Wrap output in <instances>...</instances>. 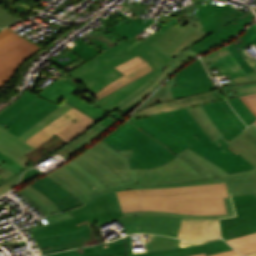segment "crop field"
Wrapping results in <instances>:
<instances>
[{"instance_id":"447ae74e","label":"crop field","mask_w":256,"mask_h":256,"mask_svg":"<svg viewBox=\"0 0 256 256\" xmlns=\"http://www.w3.org/2000/svg\"><path fill=\"white\" fill-rule=\"evenodd\" d=\"M114 256H126V254H122V255H114Z\"/></svg>"},{"instance_id":"a9b5d70f","label":"crop field","mask_w":256,"mask_h":256,"mask_svg":"<svg viewBox=\"0 0 256 256\" xmlns=\"http://www.w3.org/2000/svg\"><path fill=\"white\" fill-rule=\"evenodd\" d=\"M253 13L249 14L247 17L237 19L233 23L228 24L225 28L213 33L211 36L199 41L197 44L192 46L190 49L194 50L198 54L211 48L217 46L243 28L247 23H249L254 17ZM237 22L235 25L234 23ZM238 33V32H237ZM236 33V34H237ZM234 36V35H233ZM230 39V38H229Z\"/></svg>"},{"instance_id":"03da06ac","label":"crop field","mask_w":256,"mask_h":256,"mask_svg":"<svg viewBox=\"0 0 256 256\" xmlns=\"http://www.w3.org/2000/svg\"><path fill=\"white\" fill-rule=\"evenodd\" d=\"M18 35L12 32L11 30L5 28L0 32V47L7 44L14 38H16Z\"/></svg>"},{"instance_id":"ae1a2a85","label":"crop field","mask_w":256,"mask_h":256,"mask_svg":"<svg viewBox=\"0 0 256 256\" xmlns=\"http://www.w3.org/2000/svg\"><path fill=\"white\" fill-rule=\"evenodd\" d=\"M144 237H145L146 252L171 249V248H179V247L197 245V244H201V243L220 240V239H212V240L200 241V242H196V243H187L185 241H181L176 238L163 237V236H153V235L144 234Z\"/></svg>"},{"instance_id":"4a817a6b","label":"crop field","mask_w":256,"mask_h":256,"mask_svg":"<svg viewBox=\"0 0 256 256\" xmlns=\"http://www.w3.org/2000/svg\"><path fill=\"white\" fill-rule=\"evenodd\" d=\"M131 122L163 142L176 154L190 146V144H188L189 142L187 143L185 140L179 137L180 135L178 136L176 133H174L155 116L133 120Z\"/></svg>"},{"instance_id":"c21b1889","label":"crop field","mask_w":256,"mask_h":256,"mask_svg":"<svg viewBox=\"0 0 256 256\" xmlns=\"http://www.w3.org/2000/svg\"><path fill=\"white\" fill-rule=\"evenodd\" d=\"M221 105L224 107V109L227 111V113L230 115V117L234 120V122L243 130L246 128L245 124L240 120V118L236 115V113L231 109V107L228 105L226 100L220 101Z\"/></svg>"},{"instance_id":"4177f3b9","label":"crop field","mask_w":256,"mask_h":256,"mask_svg":"<svg viewBox=\"0 0 256 256\" xmlns=\"http://www.w3.org/2000/svg\"><path fill=\"white\" fill-rule=\"evenodd\" d=\"M35 148L0 129V152L9 156L26 170L28 161L23 155Z\"/></svg>"},{"instance_id":"5a996713","label":"crop field","mask_w":256,"mask_h":256,"mask_svg":"<svg viewBox=\"0 0 256 256\" xmlns=\"http://www.w3.org/2000/svg\"><path fill=\"white\" fill-rule=\"evenodd\" d=\"M207 70L217 66L222 75H229L240 96L256 93V72L245 74L225 46L201 57ZM256 71V60L245 58Z\"/></svg>"},{"instance_id":"bd1437ed","label":"crop field","mask_w":256,"mask_h":256,"mask_svg":"<svg viewBox=\"0 0 256 256\" xmlns=\"http://www.w3.org/2000/svg\"><path fill=\"white\" fill-rule=\"evenodd\" d=\"M234 249L245 254L256 251V233L227 241Z\"/></svg>"},{"instance_id":"0bd39190","label":"crop field","mask_w":256,"mask_h":256,"mask_svg":"<svg viewBox=\"0 0 256 256\" xmlns=\"http://www.w3.org/2000/svg\"><path fill=\"white\" fill-rule=\"evenodd\" d=\"M227 49L230 51L232 56L235 58V60L238 62L241 68L245 71V73L254 71L251 68V66L244 60V58L239 54V52L233 47L231 43H230V46H227Z\"/></svg>"},{"instance_id":"d9b57169","label":"crop field","mask_w":256,"mask_h":256,"mask_svg":"<svg viewBox=\"0 0 256 256\" xmlns=\"http://www.w3.org/2000/svg\"><path fill=\"white\" fill-rule=\"evenodd\" d=\"M117 70H119L124 75L115 80L114 82L110 83L106 87H104L101 91L98 93H93L91 90H89L87 87H82L87 92H89L91 95L95 96L98 99L114 92L115 90L123 87L124 85L134 81L135 79L143 76L144 74L152 71V68L148 64L147 61L142 59L141 57L137 56L117 67H115ZM94 97V98H95Z\"/></svg>"},{"instance_id":"730fd06b","label":"crop field","mask_w":256,"mask_h":256,"mask_svg":"<svg viewBox=\"0 0 256 256\" xmlns=\"http://www.w3.org/2000/svg\"><path fill=\"white\" fill-rule=\"evenodd\" d=\"M203 107L216 127L226 137L227 140H230L241 132L239 127L233 122L226 111L222 108L219 101L212 102L210 104H204Z\"/></svg>"},{"instance_id":"120bbe31","label":"crop field","mask_w":256,"mask_h":256,"mask_svg":"<svg viewBox=\"0 0 256 256\" xmlns=\"http://www.w3.org/2000/svg\"><path fill=\"white\" fill-rule=\"evenodd\" d=\"M231 107L235 110L238 116L245 122L247 125L253 123L256 120V116L249 110V108L242 102L239 97L227 99Z\"/></svg>"},{"instance_id":"1d79db26","label":"crop field","mask_w":256,"mask_h":256,"mask_svg":"<svg viewBox=\"0 0 256 256\" xmlns=\"http://www.w3.org/2000/svg\"><path fill=\"white\" fill-rule=\"evenodd\" d=\"M141 101H142V100H141ZM141 101H139V102L133 104L132 106H130V107H128V108H126V109H124V110H122V111H123L125 114L128 113V112L131 111L136 105H138Z\"/></svg>"},{"instance_id":"28ad6ade","label":"crop field","mask_w":256,"mask_h":256,"mask_svg":"<svg viewBox=\"0 0 256 256\" xmlns=\"http://www.w3.org/2000/svg\"><path fill=\"white\" fill-rule=\"evenodd\" d=\"M79 230L96 223L124 217L116 193L90 200L83 207L70 210Z\"/></svg>"},{"instance_id":"dafd665d","label":"crop field","mask_w":256,"mask_h":256,"mask_svg":"<svg viewBox=\"0 0 256 256\" xmlns=\"http://www.w3.org/2000/svg\"><path fill=\"white\" fill-rule=\"evenodd\" d=\"M219 99H223L222 94L220 93L219 89L205 92L199 95L182 98L178 100H173L171 102L162 103L158 105H152L150 107L144 108L141 111L136 112L137 114L134 117L144 116L153 113H161L173 109L188 107L200 103H208L212 101H216Z\"/></svg>"},{"instance_id":"89e229c0","label":"crop field","mask_w":256,"mask_h":256,"mask_svg":"<svg viewBox=\"0 0 256 256\" xmlns=\"http://www.w3.org/2000/svg\"><path fill=\"white\" fill-rule=\"evenodd\" d=\"M194 256H206V255H205V253H203V254L194 255ZM211 256H242V255L237 253L234 250H231V251H226V252H222V253L213 254Z\"/></svg>"},{"instance_id":"5866460e","label":"crop field","mask_w":256,"mask_h":256,"mask_svg":"<svg viewBox=\"0 0 256 256\" xmlns=\"http://www.w3.org/2000/svg\"><path fill=\"white\" fill-rule=\"evenodd\" d=\"M154 21L155 20L150 18L143 25L139 27L135 26L133 23H129L128 25H126L123 22H121V24L115 27L114 29L128 40L131 37L138 34L140 31H142L144 28H146L148 25H150Z\"/></svg>"},{"instance_id":"34b2d1b8","label":"crop field","mask_w":256,"mask_h":256,"mask_svg":"<svg viewBox=\"0 0 256 256\" xmlns=\"http://www.w3.org/2000/svg\"><path fill=\"white\" fill-rule=\"evenodd\" d=\"M116 193L123 212L154 210L189 214L226 213L222 197L228 196L225 183Z\"/></svg>"},{"instance_id":"cbeb9de0","label":"crop field","mask_w":256,"mask_h":256,"mask_svg":"<svg viewBox=\"0 0 256 256\" xmlns=\"http://www.w3.org/2000/svg\"><path fill=\"white\" fill-rule=\"evenodd\" d=\"M181 218L167 216H131L118 219L126 233H154L177 236Z\"/></svg>"},{"instance_id":"d3111659","label":"crop field","mask_w":256,"mask_h":256,"mask_svg":"<svg viewBox=\"0 0 256 256\" xmlns=\"http://www.w3.org/2000/svg\"><path fill=\"white\" fill-rule=\"evenodd\" d=\"M65 168L72 172L75 176L81 179L85 184H87L95 193L106 190L103 184L94 177L89 171L79 165L73 159L65 163Z\"/></svg>"},{"instance_id":"eef30255","label":"crop field","mask_w":256,"mask_h":256,"mask_svg":"<svg viewBox=\"0 0 256 256\" xmlns=\"http://www.w3.org/2000/svg\"><path fill=\"white\" fill-rule=\"evenodd\" d=\"M122 253H126L123 238L112 243H106L99 246H92L72 251L60 252L57 254H51L46 256H106Z\"/></svg>"},{"instance_id":"425ffa30","label":"crop field","mask_w":256,"mask_h":256,"mask_svg":"<svg viewBox=\"0 0 256 256\" xmlns=\"http://www.w3.org/2000/svg\"><path fill=\"white\" fill-rule=\"evenodd\" d=\"M243 102L250 108V110L256 115V94L241 97ZM256 124V121H254Z\"/></svg>"},{"instance_id":"0fb4a251","label":"crop field","mask_w":256,"mask_h":256,"mask_svg":"<svg viewBox=\"0 0 256 256\" xmlns=\"http://www.w3.org/2000/svg\"><path fill=\"white\" fill-rule=\"evenodd\" d=\"M99 123H101L103 126H107V125H109L110 123H116V122H114V121H112V120H110V119H108L107 117L105 118V119H103L101 122H99Z\"/></svg>"},{"instance_id":"5d738f31","label":"crop field","mask_w":256,"mask_h":256,"mask_svg":"<svg viewBox=\"0 0 256 256\" xmlns=\"http://www.w3.org/2000/svg\"><path fill=\"white\" fill-rule=\"evenodd\" d=\"M22 172L0 185V195L11 189L19 182Z\"/></svg>"},{"instance_id":"25e5ab78","label":"crop field","mask_w":256,"mask_h":256,"mask_svg":"<svg viewBox=\"0 0 256 256\" xmlns=\"http://www.w3.org/2000/svg\"><path fill=\"white\" fill-rule=\"evenodd\" d=\"M69 145V144H68ZM65 146L64 148H62V149H60V150H58V151H56L57 153H59L62 157H64L65 159L67 158V157H69V156H71L72 154H74L77 150H75V149H73L72 147H70V146ZM85 145H87V144H85ZM84 145V146H85ZM83 146V147H84ZM81 149V148H80ZM79 149V150H80Z\"/></svg>"},{"instance_id":"733c2abd","label":"crop field","mask_w":256,"mask_h":256,"mask_svg":"<svg viewBox=\"0 0 256 256\" xmlns=\"http://www.w3.org/2000/svg\"><path fill=\"white\" fill-rule=\"evenodd\" d=\"M195 12L204 26L202 29L211 34L244 15L227 4H209L200 7Z\"/></svg>"},{"instance_id":"750c4746","label":"crop field","mask_w":256,"mask_h":256,"mask_svg":"<svg viewBox=\"0 0 256 256\" xmlns=\"http://www.w3.org/2000/svg\"><path fill=\"white\" fill-rule=\"evenodd\" d=\"M71 108H73V107H71L70 105H68L67 103L64 102L59 108H57L55 111H53L47 117H45L44 119L39 121L37 124H35L27 132H25L23 135H21L18 138L25 141L31 135H33L34 133L39 131L41 128H43L44 126H46L47 124H49L50 122H52L53 120H55L56 118H58L59 116H61L65 112H67L68 110H70Z\"/></svg>"},{"instance_id":"d8731c3e","label":"crop field","mask_w":256,"mask_h":256,"mask_svg":"<svg viewBox=\"0 0 256 256\" xmlns=\"http://www.w3.org/2000/svg\"><path fill=\"white\" fill-rule=\"evenodd\" d=\"M97 123L98 122L91 119L83 112L73 108L34 134L25 142L37 148L55 133L68 144Z\"/></svg>"},{"instance_id":"9d1cf04e","label":"crop field","mask_w":256,"mask_h":256,"mask_svg":"<svg viewBox=\"0 0 256 256\" xmlns=\"http://www.w3.org/2000/svg\"><path fill=\"white\" fill-rule=\"evenodd\" d=\"M247 256H256V253H254V254H251V255H247Z\"/></svg>"},{"instance_id":"3316defc","label":"crop field","mask_w":256,"mask_h":256,"mask_svg":"<svg viewBox=\"0 0 256 256\" xmlns=\"http://www.w3.org/2000/svg\"><path fill=\"white\" fill-rule=\"evenodd\" d=\"M232 199L237 216L220 219V229L225 240L256 232L255 195L235 196Z\"/></svg>"},{"instance_id":"d1516ede","label":"crop field","mask_w":256,"mask_h":256,"mask_svg":"<svg viewBox=\"0 0 256 256\" xmlns=\"http://www.w3.org/2000/svg\"><path fill=\"white\" fill-rule=\"evenodd\" d=\"M59 77H62V79L59 81L56 80L37 95L56 104L64 100L71 106L83 111L85 114L98 122L108 115L101 108H95L89 104H86L75 95L78 90L80 92L84 90L82 88H77L76 85L78 83H74V80L71 79L72 77L65 73Z\"/></svg>"},{"instance_id":"c035e120","label":"crop field","mask_w":256,"mask_h":256,"mask_svg":"<svg viewBox=\"0 0 256 256\" xmlns=\"http://www.w3.org/2000/svg\"><path fill=\"white\" fill-rule=\"evenodd\" d=\"M75 59H77V56L70 51L65 55L53 60L52 62L55 63L58 67L63 68Z\"/></svg>"},{"instance_id":"ac0d7876","label":"crop field","mask_w":256,"mask_h":256,"mask_svg":"<svg viewBox=\"0 0 256 256\" xmlns=\"http://www.w3.org/2000/svg\"><path fill=\"white\" fill-rule=\"evenodd\" d=\"M169 27V25L164 24L155 34L142 42L137 41L136 37L128 41L125 40L69 74L96 93L123 75L113 67L137 55L147 60L153 68V72L94 102L119 120L122 115L113 112L114 110L117 108L121 110L144 99L174 68L181 64L171 56H166L149 45Z\"/></svg>"},{"instance_id":"92a150f3","label":"crop field","mask_w":256,"mask_h":256,"mask_svg":"<svg viewBox=\"0 0 256 256\" xmlns=\"http://www.w3.org/2000/svg\"><path fill=\"white\" fill-rule=\"evenodd\" d=\"M29 185L49 197L61 209L57 212L82 206L74 196L46 176Z\"/></svg>"},{"instance_id":"dbb93151","label":"crop field","mask_w":256,"mask_h":256,"mask_svg":"<svg viewBox=\"0 0 256 256\" xmlns=\"http://www.w3.org/2000/svg\"><path fill=\"white\" fill-rule=\"evenodd\" d=\"M84 62H86V61L83 60L82 58H79L78 60H76V61L70 63V64L67 65V66H69L70 68L74 69V68H76L77 66L81 65V64L84 63Z\"/></svg>"},{"instance_id":"1f2cbd36","label":"crop field","mask_w":256,"mask_h":256,"mask_svg":"<svg viewBox=\"0 0 256 256\" xmlns=\"http://www.w3.org/2000/svg\"><path fill=\"white\" fill-rule=\"evenodd\" d=\"M120 21L117 19V18H115V17H112V18H110L109 20H107L106 22H104V23H106L108 26H110V27H115L116 25H118V24H120L119 23Z\"/></svg>"},{"instance_id":"e1f06a70","label":"crop field","mask_w":256,"mask_h":256,"mask_svg":"<svg viewBox=\"0 0 256 256\" xmlns=\"http://www.w3.org/2000/svg\"><path fill=\"white\" fill-rule=\"evenodd\" d=\"M18 192H20L22 195H24L26 198H28L30 200V202H32L33 204H35L40 211L42 212V214L45 215H49V213H51V211L48 209V207L43 204L36 196H34L32 193H30L28 190L22 188L20 190H18Z\"/></svg>"},{"instance_id":"412701ff","label":"crop field","mask_w":256,"mask_h":256,"mask_svg":"<svg viewBox=\"0 0 256 256\" xmlns=\"http://www.w3.org/2000/svg\"><path fill=\"white\" fill-rule=\"evenodd\" d=\"M157 117L189 142L192 145L190 149L222 167L227 173L253 169V166L233 151L222 138L213 143L186 109Z\"/></svg>"},{"instance_id":"5142ce71","label":"crop field","mask_w":256,"mask_h":256,"mask_svg":"<svg viewBox=\"0 0 256 256\" xmlns=\"http://www.w3.org/2000/svg\"><path fill=\"white\" fill-rule=\"evenodd\" d=\"M39 49L20 36L0 48V87L10 80L19 64Z\"/></svg>"},{"instance_id":"dd49c442","label":"crop field","mask_w":256,"mask_h":256,"mask_svg":"<svg viewBox=\"0 0 256 256\" xmlns=\"http://www.w3.org/2000/svg\"><path fill=\"white\" fill-rule=\"evenodd\" d=\"M43 254L99 243L91 226L79 231L73 218L32 228Z\"/></svg>"},{"instance_id":"028f5c9d","label":"crop field","mask_w":256,"mask_h":256,"mask_svg":"<svg viewBox=\"0 0 256 256\" xmlns=\"http://www.w3.org/2000/svg\"><path fill=\"white\" fill-rule=\"evenodd\" d=\"M77 45L71 48L75 53H78L83 59L86 61L93 57L94 55L98 54L93 48L88 46L85 42L78 40L75 42ZM90 60V59H89Z\"/></svg>"},{"instance_id":"b54c1fbb","label":"crop field","mask_w":256,"mask_h":256,"mask_svg":"<svg viewBox=\"0 0 256 256\" xmlns=\"http://www.w3.org/2000/svg\"><path fill=\"white\" fill-rule=\"evenodd\" d=\"M19 18L7 13L0 7V28H4L8 23L15 21Z\"/></svg>"},{"instance_id":"d32e631a","label":"crop field","mask_w":256,"mask_h":256,"mask_svg":"<svg viewBox=\"0 0 256 256\" xmlns=\"http://www.w3.org/2000/svg\"><path fill=\"white\" fill-rule=\"evenodd\" d=\"M170 86H176L174 76L156 93V95L144 107L173 100Z\"/></svg>"},{"instance_id":"73cf0c24","label":"crop field","mask_w":256,"mask_h":256,"mask_svg":"<svg viewBox=\"0 0 256 256\" xmlns=\"http://www.w3.org/2000/svg\"><path fill=\"white\" fill-rule=\"evenodd\" d=\"M39 174H41V172L38 171L36 168H33V169H30V170H27L26 172H24V175L21 180L26 182Z\"/></svg>"},{"instance_id":"8a807250","label":"crop field","mask_w":256,"mask_h":256,"mask_svg":"<svg viewBox=\"0 0 256 256\" xmlns=\"http://www.w3.org/2000/svg\"><path fill=\"white\" fill-rule=\"evenodd\" d=\"M187 110L213 142L222 137L233 150L253 165L255 169L227 174L225 170L187 148L177 154V158L162 167L130 170L127 157H130L132 151L118 153L100 140L90 149L73 158L96 176L108 189L91 195L92 198L123 189L169 188L226 182L229 197L223 199L227 214L188 215L154 211L123 214L125 217L131 215H168L205 219L234 216L230 196L256 194V126L251 125L236 137L227 141L215 127L202 106L187 108Z\"/></svg>"},{"instance_id":"d23c7cc5","label":"crop field","mask_w":256,"mask_h":256,"mask_svg":"<svg viewBox=\"0 0 256 256\" xmlns=\"http://www.w3.org/2000/svg\"><path fill=\"white\" fill-rule=\"evenodd\" d=\"M244 42L249 45L254 43L256 45V30L254 26H252L250 29H248L244 34L240 36Z\"/></svg>"},{"instance_id":"00972430","label":"crop field","mask_w":256,"mask_h":256,"mask_svg":"<svg viewBox=\"0 0 256 256\" xmlns=\"http://www.w3.org/2000/svg\"><path fill=\"white\" fill-rule=\"evenodd\" d=\"M46 176L73 194L82 204L92 199L89 194L94 192L64 167L61 166Z\"/></svg>"},{"instance_id":"e52e79f7","label":"crop field","mask_w":256,"mask_h":256,"mask_svg":"<svg viewBox=\"0 0 256 256\" xmlns=\"http://www.w3.org/2000/svg\"><path fill=\"white\" fill-rule=\"evenodd\" d=\"M202 27L199 21L188 23L185 28L172 26L150 45L158 48V51L166 55L169 54L183 63L198 55L188 48L210 35L200 30Z\"/></svg>"},{"instance_id":"0765c3eb","label":"crop field","mask_w":256,"mask_h":256,"mask_svg":"<svg viewBox=\"0 0 256 256\" xmlns=\"http://www.w3.org/2000/svg\"><path fill=\"white\" fill-rule=\"evenodd\" d=\"M1 1V0H0Z\"/></svg>"},{"instance_id":"f4fd0767","label":"crop field","mask_w":256,"mask_h":256,"mask_svg":"<svg viewBox=\"0 0 256 256\" xmlns=\"http://www.w3.org/2000/svg\"><path fill=\"white\" fill-rule=\"evenodd\" d=\"M101 140L118 152L134 150L128 158L131 169L159 167L177 157L130 122H123Z\"/></svg>"},{"instance_id":"214f88e0","label":"crop field","mask_w":256,"mask_h":256,"mask_svg":"<svg viewBox=\"0 0 256 256\" xmlns=\"http://www.w3.org/2000/svg\"><path fill=\"white\" fill-rule=\"evenodd\" d=\"M125 242H126L128 256H189V255H194V254L203 253V252H206L208 256L213 253L232 249L223 240H220V241H215L211 243H206V244H201V245L191 246L186 248H180V249L132 254L131 237L130 236L125 237Z\"/></svg>"},{"instance_id":"22f410ed","label":"crop field","mask_w":256,"mask_h":256,"mask_svg":"<svg viewBox=\"0 0 256 256\" xmlns=\"http://www.w3.org/2000/svg\"><path fill=\"white\" fill-rule=\"evenodd\" d=\"M175 77L177 87H171L174 99L217 89L199 58L181 69Z\"/></svg>"},{"instance_id":"1d83c4d3","label":"crop field","mask_w":256,"mask_h":256,"mask_svg":"<svg viewBox=\"0 0 256 256\" xmlns=\"http://www.w3.org/2000/svg\"><path fill=\"white\" fill-rule=\"evenodd\" d=\"M114 124H110L106 128L103 127L101 124L95 125L92 129L87 131L84 135L80 136L79 138L72 141L69 145L72 146L75 149H79L81 146H83L85 143H90L92 140L99 137L102 133L107 131L109 128H111Z\"/></svg>"},{"instance_id":"b80d0937","label":"crop field","mask_w":256,"mask_h":256,"mask_svg":"<svg viewBox=\"0 0 256 256\" xmlns=\"http://www.w3.org/2000/svg\"><path fill=\"white\" fill-rule=\"evenodd\" d=\"M24 188L28 189L33 194H35L42 202H44L50 208V210L52 212H55V211L59 210V208L50 199H48L45 195H43L42 193L38 192L37 190H35L31 186L28 185V186H26Z\"/></svg>"},{"instance_id":"bc2a9ffb","label":"crop field","mask_w":256,"mask_h":256,"mask_svg":"<svg viewBox=\"0 0 256 256\" xmlns=\"http://www.w3.org/2000/svg\"><path fill=\"white\" fill-rule=\"evenodd\" d=\"M177 237L186 241H197L220 237L218 219L204 220L182 218Z\"/></svg>"}]
</instances>
